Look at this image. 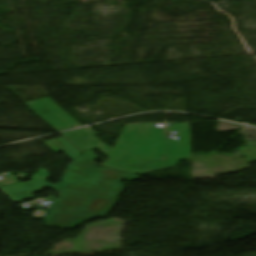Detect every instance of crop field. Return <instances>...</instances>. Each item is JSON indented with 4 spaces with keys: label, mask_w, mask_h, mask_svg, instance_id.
<instances>
[{
    "label": "crop field",
    "mask_w": 256,
    "mask_h": 256,
    "mask_svg": "<svg viewBox=\"0 0 256 256\" xmlns=\"http://www.w3.org/2000/svg\"><path fill=\"white\" fill-rule=\"evenodd\" d=\"M175 131H181L180 140H167L164 128H156L155 124L125 125L113 149L93 137L96 132L91 128L61 135L79 150H86L84 155L90 161L97 158L91 150L98 148L110 157L102 166L144 175L177 167L181 159L191 158L189 122L169 127V132ZM168 142L172 145H167ZM165 152L168 162L160 164Z\"/></svg>",
    "instance_id": "8a807250"
},
{
    "label": "crop field",
    "mask_w": 256,
    "mask_h": 256,
    "mask_svg": "<svg viewBox=\"0 0 256 256\" xmlns=\"http://www.w3.org/2000/svg\"><path fill=\"white\" fill-rule=\"evenodd\" d=\"M124 179L133 181L141 177L98 168L81 154L68 166L62 179L72 186L62 190V196L47 214L45 225L74 229L88 220L106 218L126 186L121 183Z\"/></svg>",
    "instance_id": "ac0d7876"
},
{
    "label": "crop field",
    "mask_w": 256,
    "mask_h": 256,
    "mask_svg": "<svg viewBox=\"0 0 256 256\" xmlns=\"http://www.w3.org/2000/svg\"><path fill=\"white\" fill-rule=\"evenodd\" d=\"M24 104L57 131L80 125L49 97Z\"/></svg>",
    "instance_id": "34b2d1b8"
},
{
    "label": "crop field",
    "mask_w": 256,
    "mask_h": 256,
    "mask_svg": "<svg viewBox=\"0 0 256 256\" xmlns=\"http://www.w3.org/2000/svg\"><path fill=\"white\" fill-rule=\"evenodd\" d=\"M48 178H50L48 172L46 170L42 169L38 174H36L34 177H32V180H34V181L7 187V188H3L2 190L6 194H8L14 201L19 202V201L33 198L32 193L42 191V188L45 186H48L57 191L70 186L69 184H66L63 182H60L56 185L47 183L45 181ZM26 184H29V185L24 186ZM20 192H23V194L11 196V194L20 193Z\"/></svg>",
    "instance_id": "412701ff"
},
{
    "label": "crop field",
    "mask_w": 256,
    "mask_h": 256,
    "mask_svg": "<svg viewBox=\"0 0 256 256\" xmlns=\"http://www.w3.org/2000/svg\"><path fill=\"white\" fill-rule=\"evenodd\" d=\"M44 144H46L55 153L63 151L74 159L81 154L77 148L63 137L44 142Z\"/></svg>",
    "instance_id": "f4fd0767"
}]
</instances>
